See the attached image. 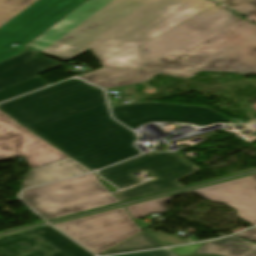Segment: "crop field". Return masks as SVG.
<instances>
[{
	"mask_svg": "<svg viewBox=\"0 0 256 256\" xmlns=\"http://www.w3.org/2000/svg\"><path fill=\"white\" fill-rule=\"evenodd\" d=\"M214 5L205 0H88L25 48L64 62L90 49L103 67L141 68V44Z\"/></svg>",
	"mask_w": 256,
	"mask_h": 256,
	"instance_id": "crop-field-1",
	"label": "crop field"
},
{
	"mask_svg": "<svg viewBox=\"0 0 256 256\" xmlns=\"http://www.w3.org/2000/svg\"><path fill=\"white\" fill-rule=\"evenodd\" d=\"M0 110L96 170L140 152L137 135L109 117L103 89L74 78L0 105Z\"/></svg>",
	"mask_w": 256,
	"mask_h": 256,
	"instance_id": "crop-field-2",
	"label": "crop field"
},
{
	"mask_svg": "<svg viewBox=\"0 0 256 256\" xmlns=\"http://www.w3.org/2000/svg\"><path fill=\"white\" fill-rule=\"evenodd\" d=\"M148 69L256 71V24L214 6L140 46Z\"/></svg>",
	"mask_w": 256,
	"mask_h": 256,
	"instance_id": "crop-field-3",
	"label": "crop field"
},
{
	"mask_svg": "<svg viewBox=\"0 0 256 256\" xmlns=\"http://www.w3.org/2000/svg\"><path fill=\"white\" fill-rule=\"evenodd\" d=\"M147 169L156 179L125 191L114 193L120 200H127L151 193L180 187L175 181L200 169L177 153L150 152L99 171L100 175L123 189L141 182L132 174L139 169Z\"/></svg>",
	"mask_w": 256,
	"mask_h": 256,
	"instance_id": "crop-field-4",
	"label": "crop field"
},
{
	"mask_svg": "<svg viewBox=\"0 0 256 256\" xmlns=\"http://www.w3.org/2000/svg\"><path fill=\"white\" fill-rule=\"evenodd\" d=\"M86 0H38L0 28V62L26 51L23 47ZM20 44L16 47L12 44Z\"/></svg>",
	"mask_w": 256,
	"mask_h": 256,
	"instance_id": "crop-field-5",
	"label": "crop field"
},
{
	"mask_svg": "<svg viewBox=\"0 0 256 256\" xmlns=\"http://www.w3.org/2000/svg\"><path fill=\"white\" fill-rule=\"evenodd\" d=\"M54 226L95 255L142 231L131 220L125 207Z\"/></svg>",
	"mask_w": 256,
	"mask_h": 256,
	"instance_id": "crop-field-6",
	"label": "crop field"
},
{
	"mask_svg": "<svg viewBox=\"0 0 256 256\" xmlns=\"http://www.w3.org/2000/svg\"><path fill=\"white\" fill-rule=\"evenodd\" d=\"M205 199L223 203L237 210L238 218L254 226L256 225V175L192 190ZM184 192L132 206L127 209L133 219L144 217L150 213L168 211L165 202L171 197L189 193Z\"/></svg>",
	"mask_w": 256,
	"mask_h": 256,
	"instance_id": "crop-field-7",
	"label": "crop field"
},
{
	"mask_svg": "<svg viewBox=\"0 0 256 256\" xmlns=\"http://www.w3.org/2000/svg\"><path fill=\"white\" fill-rule=\"evenodd\" d=\"M111 112L131 130L148 122H181L194 126L233 123L209 108L153 102L111 107Z\"/></svg>",
	"mask_w": 256,
	"mask_h": 256,
	"instance_id": "crop-field-8",
	"label": "crop field"
},
{
	"mask_svg": "<svg viewBox=\"0 0 256 256\" xmlns=\"http://www.w3.org/2000/svg\"><path fill=\"white\" fill-rule=\"evenodd\" d=\"M0 256H93L47 226L0 238Z\"/></svg>",
	"mask_w": 256,
	"mask_h": 256,
	"instance_id": "crop-field-9",
	"label": "crop field"
},
{
	"mask_svg": "<svg viewBox=\"0 0 256 256\" xmlns=\"http://www.w3.org/2000/svg\"><path fill=\"white\" fill-rule=\"evenodd\" d=\"M20 155L31 169L68 157L0 112V159Z\"/></svg>",
	"mask_w": 256,
	"mask_h": 256,
	"instance_id": "crop-field-10",
	"label": "crop field"
},
{
	"mask_svg": "<svg viewBox=\"0 0 256 256\" xmlns=\"http://www.w3.org/2000/svg\"><path fill=\"white\" fill-rule=\"evenodd\" d=\"M105 193L109 191L93 173L26 190L22 197L37 211Z\"/></svg>",
	"mask_w": 256,
	"mask_h": 256,
	"instance_id": "crop-field-11",
	"label": "crop field"
},
{
	"mask_svg": "<svg viewBox=\"0 0 256 256\" xmlns=\"http://www.w3.org/2000/svg\"><path fill=\"white\" fill-rule=\"evenodd\" d=\"M61 65L28 50L0 63V90Z\"/></svg>",
	"mask_w": 256,
	"mask_h": 256,
	"instance_id": "crop-field-12",
	"label": "crop field"
},
{
	"mask_svg": "<svg viewBox=\"0 0 256 256\" xmlns=\"http://www.w3.org/2000/svg\"><path fill=\"white\" fill-rule=\"evenodd\" d=\"M159 73H164L180 78H190L197 72L102 68L81 77L86 82H89L93 85L109 88L147 81Z\"/></svg>",
	"mask_w": 256,
	"mask_h": 256,
	"instance_id": "crop-field-13",
	"label": "crop field"
},
{
	"mask_svg": "<svg viewBox=\"0 0 256 256\" xmlns=\"http://www.w3.org/2000/svg\"><path fill=\"white\" fill-rule=\"evenodd\" d=\"M87 172H91V170L71 158H67L29 171L21 188L23 189Z\"/></svg>",
	"mask_w": 256,
	"mask_h": 256,
	"instance_id": "crop-field-14",
	"label": "crop field"
},
{
	"mask_svg": "<svg viewBox=\"0 0 256 256\" xmlns=\"http://www.w3.org/2000/svg\"><path fill=\"white\" fill-rule=\"evenodd\" d=\"M195 254H215L220 256H256V244L229 237L205 243Z\"/></svg>",
	"mask_w": 256,
	"mask_h": 256,
	"instance_id": "crop-field-15",
	"label": "crop field"
},
{
	"mask_svg": "<svg viewBox=\"0 0 256 256\" xmlns=\"http://www.w3.org/2000/svg\"><path fill=\"white\" fill-rule=\"evenodd\" d=\"M117 202L118 201L115 199V197L112 194H110V195L78 202L75 204L43 211V212H40L39 214L45 219L49 220V219H53V218L65 216L68 214H72V213H76V212H80V211H84V210H88V209H92L100 206H105V205H109Z\"/></svg>",
	"mask_w": 256,
	"mask_h": 256,
	"instance_id": "crop-field-16",
	"label": "crop field"
},
{
	"mask_svg": "<svg viewBox=\"0 0 256 256\" xmlns=\"http://www.w3.org/2000/svg\"><path fill=\"white\" fill-rule=\"evenodd\" d=\"M156 247H163L158 242H156L151 236H149L145 231L132 237L131 239L117 245L116 247L110 249L109 251L103 253H120V252H130L138 251Z\"/></svg>",
	"mask_w": 256,
	"mask_h": 256,
	"instance_id": "crop-field-17",
	"label": "crop field"
},
{
	"mask_svg": "<svg viewBox=\"0 0 256 256\" xmlns=\"http://www.w3.org/2000/svg\"><path fill=\"white\" fill-rule=\"evenodd\" d=\"M49 85L47 82L43 81L38 76L21 82L19 84L13 85L6 89L0 91V102L7 100L9 98L24 94L26 92L41 88L43 86Z\"/></svg>",
	"mask_w": 256,
	"mask_h": 256,
	"instance_id": "crop-field-18",
	"label": "crop field"
},
{
	"mask_svg": "<svg viewBox=\"0 0 256 256\" xmlns=\"http://www.w3.org/2000/svg\"><path fill=\"white\" fill-rule=\"evenodd\" d=\"M37 0H0V27Z\"/></svg>",
	"mask_w": 256,
	"mask_h": 256,
	"instance_id": "crop-field-19",
	"label": "crop field"
},
{
	"mask_svg": "<svg viewBox=\"0 0 256 256\" xmlns=\"http://www.w3.org/2000/svg\"><path fill=\"white\" fill-rule=\"evenodd\" d=\"M220 3L246 16L256 12V0H224Z\"/></svg>",
	"mask_w": 256,
	"mask_h": 256,
	"instance_id": "crop-field-20",
	"label": "crop field"
},
{
	"mask_svg": "<svg viewBox=\"0 0 256 256\" xmlns=\"http://www.w3.org/2000/svg\"><path fill=\"white\" fill-rule=\"evenodd\" d=\"M146 232H148L150 235H152L154 238H156L158 241H160L165 246L189 242L188 239L176 238V237L168 236V235L157 233V232L150 231V230H147Z\"/></svg>",
	"mask_w": 256,
	"mask_h": 256,
	"instance_id": "crop-field-21",
	"label": "crop field"
},
{
	"mask_svg": "<svg viewBox=\"0 0 256 256\" xmlns=\"http://www.w3.org/2000/svg\"><path fill=\"white\" fill-rule=\"evenodd\" d=\"M202 244L204 243L182 247H174L170 249L178 255H192Z\"/></svg>",
	"mask_w": 256,
	"mask_h": 256,
	"instance_id": "crop-field-22",
	"label": "crop field"
},
{
	"mask_svg": "<svg viewBox=\"0 0 256 256\" xmlns=\"http://www.w3.org/2000/svg\"><path fill=\"white\" fill-rule=\"evenodd\" d=\"M117 256H174V255L167 250H161V251L144 252V253L124 254V255H117Z\"/></svg>",
	"mask_w": 256,
	"mask_h": 256,
	"instance_id": "crop-field-23",
	"label": "crop field"
},
{
	"mask_svg": "<svg viewBox=\"0 0 256 256\" xmlns=\"http://www.w3.org/2000/svg\"><path fill=\"white\" fill-rule=\"evenodd\" d=\"M235 236L243 237L256 242V228L240 233Z\"/></svg>",
	"mask_w": 256,
	"mask_h": 256,
	"instance_id": "crop-field-24",
	"label": "crop field"
},
{
	"mask_svg": "<svg viewBox=\"0 0 256 256\" xmlns=\"http://www.w3.org/2000/svg\"><path fill=\"white\" fill-rule=\"evenodd\" d=\"M101 181L104 183V185L111 191H115L116 188H114L113 186L109 185L108 183H106L104 180L101 179Z\"/></svg>",
	"mask_w": 256,
	"mask_h": 256,
	"instance_id": "crop-field-25",
	"label": "crop field"
},
{
	"mask_svg": "<svg viewBox=\"0 0 256 256\" xmlns=\"http://www.w3.org/2000/svg\"><path fill=\"white\" fill-rule=\"evenodd\" d=\"M252 109H254L256 111V104L251 106Z\"/></svg>",
	"mask_w": 256,
	"mask_h": 256,
	"instance_id": "crop-field-26",
	"label": "crop field"
},
{
	"mask_svg": "<svg viewBox=\"0 0 256 256\" xmlns=\"http://www.w3.org/2000/svg\"><path fill=\"white\" fill-rule=\"evenodd\" d=\"M201 256H211V255H201Z\"/></svg>",
	"mask_w": 256,
	"mask_h": 256,
	"instance_id": "crop-field-27",
	"label": "crop field"
},
{
	"mask_svg": "<svg viewBox=\"0 0 256 256\" xmlns=\"http://www.w3.org/2000/svg\"><path fill=\"white\" fill-rule=\"evenodd\" d=\"M216 1L220 2V1H222V0H216Z\"/></svg>",
	"mask_w": 256,
	"mask_h": 256,
	"instance_id": "crop-field-28",
	"label": "crop field"
}]
</instances>
